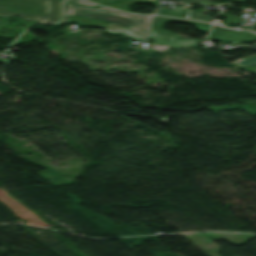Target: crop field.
Listing matches in <instances>:
<instances>
[{
  "label": "crop field",
  "mask_w": 256,
  "mask_h": 256,
  "mask_svg": "<svg viewBox=\"0 0 256 256\" xmlns=\"http://www.w3.org/2000/svg\"><path fill=\"white\" fill-rule=\"evenodd\" d=\"M68 16L80 15L120 24L140 35H145L151 16H135L105 7L89 8L67 2Z\"/></svg>",
  "instance_id": "obj_1"
},
{
  "label": "crop field",
  "mask_w": 256,
  "mask_h": 256,
  "mask_svg": "<svg viewBox=\"0 0 256 256\" xmlns=\"http://www.w3.org/2000/svg\"><path fill=\"white\" fill-rule=\"evenodd\" d=\"M61 2L49 0V15L44 22H57L61 19ZM23 15L26 19L47 15V0H0V15Z\"/></svg>",
  "instance_id": "obj_2"
},
{
  "label": "crop field",
  "mask_w": 256,
  "mask_h": 256,
  "mask_svg": "<svg viewBox=\"0 0 256 256\" xmlns=\"http://www.w3.org/2000/svg\"><path fill=\"white\" fill-rule=\"evenodd\" d=\"M255 36L256 35L251 32L225 29L215 25L208 39H223L237 42H245L253 40Z\"/></svg>",
  "instance_id": "obj_3"
},
{
  "label": "crop field",
  "mask_w": 256,
  "mask_h": 256,
  "mask_svg": "<svg viewBox=\"0 0 256 256\" xmlns=\"http://www.w3.org/2000/svg\"><path fill=\"white\" fill-rule=\"evenodd\" d=\"M171 19H175V20H180V21H187V22H193L197 25L198 28L204 30V31H209L211 25L208 23H202V22H194V21H188V20H182V19H176V18H167V17H159V16H154L153 21H152V26L158 27V28H162V25L164 23V21L167 20H171Z\"/></svg>",
  "instance_id": "obj_4"
},
{
  "label": "crop field",
  "mask_w": 256,
  "mask_h": 256,
  "mask_svg": "<svg viewBox=\"0 0 256 256\" xmlns=\"http://www.w3.org/2000/svg\"><path fill=\"white\" fill-rule=\"evenodd\" d=\"M143 2H152V1L151 0H130V1H125V2H121V3L105 4L104 6L128 12L129 7L132 4H134V3H143Z\"/></svg>",
  "instance_id": "obj_5"
},
{
  "label": "crop field",
  "mask_w": 256,
  "mask_h": 256,
  "mask_svg": "<svg viewBox=\"0 0 256 256\" xmlns=\"http://www.w3.org/2000/svg\"><path fill=\"white\" fill-rule=\"evenodd\" d=\"M186 18H189V19H196V20H204V21H209L211 20L210 17L202 14V13H198V12H195V11H192L190 9H187V13H186Z\"/></svg>",
  "instance_id": "obj_6"
},
{
  "label": "crop field",
  "mask_w": 256,
  "mask_h": 256,
  "mask_svg": "<svg viewBox=\"0 0 256 256\" xmlns=\"http://www.w3.org/2000/svg\"><path fill=\"white\" fill-rule=\"evenodd\" d=\"M221 15L228 17L225 20L226 22H235V23L240 24V21H238L239 17L233 16V15H230V14H226V13H223Z\"/></svg>",
  "instance_id": "obj_7"
},
{
  "label": "crop field",
  "mask_w": 256,
  "mask_h": 256,
  "mask_svg": "<svg viewBox=\"0 0 256 256\" xmlns=\"http://www.w3.org/2000/svg\"><path fill=\"white\" fill-rule=\"evenodd\" d=\"M238 64L239 65H256V56L248 60L240 61L238 62Z\"/></svg>",
  "instance_id": "obj_8"
},
{
  "label": "crop field",
  "mask_w": 256,
  "mask_h": 256,
  "mask_svg": "<svg viewBox=\"0 0 256 256\" xmlns=\"http://www.w3.org/2000/svg\"><path fill=\"white\" fill-rule=\"evenodd\" d=\"M68 1L72 2V3L84 5V6H97V5H93V4L89 3V2H86L84 0H68Z\"/></svg>",
  "instance_id": "obj_9"
},
{
  "label": "crop field",
  "mask_w": 256,
  "mask_h": 256,
  "mask_svg": "<svg viewBox=\"0 0 256 256\" xmlns=\"http://www.w3.org/2000/svg\"><path fill=\"white\" fill-rule=\"evenodd\" d=\"M99 4H103V3H109V2H113L115 0H90Z\"/></svg>",
  "instance_id": "obj_10"
},
{
  "label": "crop field",
  "mask_w": 256,
  "mask_h": 256,
  "mask_svg": "<svg viewBox=\"0 0 256 256\" xmlns=\"http://www.w3.org/2000/svg\"><path fill=\"white\" fill-rule=\"evenodd\" d=\"M181 1H183L184 3L196 2V1L207 2V1H204V0H181ZM207 3H212V2H207ZM212 4H216V3H212Z\"/></svg>",
  "instance_id": "obj_11"
},
{
  "label": "crop field",
  "mask_w": 256,
  "mask_h": 256,
  "mask_svg": "<svg viewBox=\"0 0 256 256\" xmlns=\"http://www.w3.org/2000/svg\"><path fill=\"white\" fill-rule=\"evenodd\" d=\"M63 22H64V21H62V23H60V24H55V25H52V26H60V25L63 24Z\"/></svg>",
  "instance_id": "obj_12"
},
{
  "label": "crop field",
  "mask_w": 256,
  "mask_h": 256,
  "mask_svg": "<svg viewBox=\"0 0 256 256\" xmlns=\"http://www.w3.org/2000/svg\"><path fill=\"white\" fill-rule=\"evenodd\" d=\"M21 17H22V16H21ZM32 20H38V21L42 22V20L39 19V18H35V19H32Z\"/></svg>",
  "instance_id": "obj_13"
},
{
  "label": "crop field",
  "mask_w": 256,
  "mask_h": 256,
  "mask_svg": "<svg viewBox=\"0 0 256 256\" xmlns=\"http://www.w3.org/2000/svg\"><path fill=\"white\" fill-rule=\"evenodd\" d=\"M233 1H246V0H233ZM232 2V1H231Z\"/></svg>",
  "instance_id": "obj_14"
},
{
  "label": "crop field",
  "mask_w": 256,
  "mask_h": 256,
  "mask_svg": "<svg viewBox=\"0 0 256 256\" xmlns=\"http://www.w3.org/2000/svg\"><path fill=\"white\" fill-rule=\"evenodd\" d=\"M255 32H256V30H255Z\"/></svg>",
  "instance_id": "obj_15"
}]
</instances>
